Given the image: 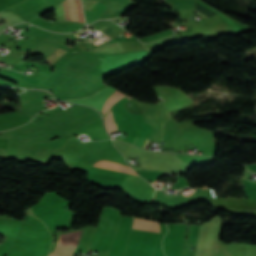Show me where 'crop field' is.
I'll return each mask as SVG.
<instances>
[{
  "instance_id": "obj_3",
  "label": "crop field",
  "mask_w": 256,
  "mask_h": 256,
  "mask_svg": "<svg viewBox=\"0 0 256 256\" xmlns=\"http://www.w3.org/2000/svg\"><path fill=\"white\" fill-rule=\"evenodd\" d=\"M72 20L84 22L80 0H69Z\"/></svg>"
},
{
  "instance_id": "obj_6",
  "label": "crop field",
  "mask_w": 256,
  "mask_h": 256,
  "mask_svg": "<svg viewBox=\"0 0 256 256\" xmlns=\"http://www.w3.org/2000/svg\"><path fill=\"white\" fill-rule=\"evenodd\" d=\"M111 111H112V109H111ZM111 111L105 117V123H106V127H107L108 132L115 130V127H116V125L114 127V123H113L114 116H113V119H112ZM114 122H115V120H114Z\"/></svg>"
},
{
  "instance_id": "obj_2",
  "label": "crop field",
  "mask_w": 256,
  "mask_h": 256,
  "mask_svg": "<svg viewBox=\"0 0 256 256\" xmlns=\"http://www.w3.org/2000/svg\"><path fill=\"white\" fill-rule=\"evenodd\" d=\"M95 166L111 169V170H116L132 175H136L131 168H128L126 166L119 165L117 163L109 162V161H99L94 164ZM138 176V175H136Z\"/></svg>"
},
{
  "instance_id": "obj_4",
  "label": "crop field",
  "mask_w": 256,
  "mask_h": 256,
  "mask_svg": "<svg viewBox=\"0 0 256 256\" xmlns=\"http://www.w3.org/2000/svg\"><path fill=\"white\" fill-rule=\"evenodd\" d=\"M126 95H124L123 93L119 92V91H115L112 96L106 101V103L103 106V114H106L107 111L110 109V107L116 103L118 100H120L121 98L125 97Z\"/></svg>"
},
{
  "instance_id": "obj_7",
  "label": "crop field",
  "mask_w": 256,
  "mask_h": 256,
  "mask_svg": "<svg viewBox=\"0 0 256 256\" xmlns=\"http://www.w3.org/2000/svg\"><path fill=\"white\" fill-rule=\"evenodd\" d=\"M148 141H149V140L147 139L146 142H145V144H144V146H143L144 148L146 147Z\"/></svg>"
},
{
  "instance_id": "obj_9",
  "label": "crop field",
  "mask_w": 256,
  "mask_h": 256,
  "mask_svg": "<svg viewBox=\"0 0 256 256\" xmlns=\"http://www.w3.org/2000/svg\"><path fill=\"white\" fill-rule=\"evenodd\" d=\"M196 11V10H195Z\"/></svg>"
},
{
  "instance_id": "obj_8",
  "label": "crop field",
  "mask_w": 256,
  "mask_h": 256,
  "mask_svg": "<svg viewBox=\"0 0 256 256\" xmlns=\"http://www.w3.org/2000/svg\"><path fill=\"white\" fill-rule=\"evenodd\" d=\"M127 98L131 99V97H129V96Z\"/></svg>"
},
{
  "instance_id": "obj_5",
  "label": "crop field",
  "mask_w": 256,
  "mask_h": 256,
  "mask_svg": "<svg viewBox=\"0 0 256 256\" xmlns=\"http://www.w3.org/2000/svg\"><path fill=\"white\" fill-rule=\"evenodd\" d=\"M65 51L59 49V48H55L52 52H50L46 57V61L48 63H53L54 61H56L62 54H64ZM63 56V55H62Z\"/></svg>"
},
{
  "instance_id": "obj_1",
  "label": "crop field",
  "mask_w": 256,
  "mask_h": 256,
  "mask_svg": "<svg viewBox=\"0 0 256 256\" xmlns=\"http://www.w3.org/2000/svg\"><path fill=\"white\" fill-rule=\"evenodd\" d=\"M81 233L62 235L58 248L49 256H72L78 246Z\"/></svg>"
}]
</instances>
